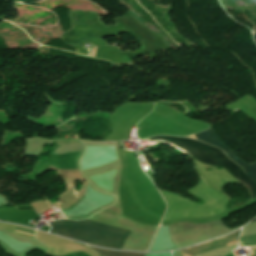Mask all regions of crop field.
<instances>
[{"label":"crop field","mask_w":256,"mask_h":256,"mask_svg":"<svg viewBox=\"0 0 256 256\" xmlns=\"http://www.w3.org/2000/svg\"><path fill=\"white\" fill-rule=\"evenodd\" d=\"M49 225L56 234L113 249H122L133 231V228L92 217L82 221L55 220Z\"/></svg>","instance_id":"obj_1"},{"label":"crop field","mask_w":256,"mask_h":256,"mask_svg":"<svg viewBox=\"0 0 256 256\" xmlns=\"http://www.w3.org/2000/svg\"><path fill=\"white\" fill-rule=\"evenodd\" d=\"M152 139H161L170 142L185 150L195 160L214 166L225 167L234 178L242 182L249 189L252 199L256 198V183L246 176L240 167L229 160L222 150L200 141L186 138L171 136H154L149 138V140Z\"/></svg>","instance_id":"obj_2"},{"label":"crop field","mask_w":256,"mask_h":256,"mask_svg":"<svg viewBox=\"0 0 256 256\" xmlns=\"http://www.w3.org/2000/svg\"><path fill=\"white\" fill-rule=\"evenodd\" d=\"M194 136L198 140H201V141L207 142L211 145H215L219 148H222L230 159H232L233 161L238 163L239 166H241L242 169L248 174V176L256 181V163L248 165V164H245L244 162H242L241 160H239L238 158H236L234 153L231 150L227 149L223 145V143L216 137L212 128H210L204 132L194 134ZM194 136L192 135V136H190V138H194Z\"/></svg>","instance_id":"obj_3"},{"label":"crop field","mask_w":256,"mask_h":256,"mask_svg":"<svg viewBox=\"0 0 256 256\" xmlns=\"http://www.w3.org/2000/svg\"><path fill=\"white\" fill-rule=\"evenodd\" d=\"M240 230L226 236L220 239H216L210 242H206L197 246H193L187 249H184L182 251L189 253L191 255L203 253V252H208L220 248H225L229 246L235 245V241L238 240V235H239ZM237 245V242H236Z\"/></svg>","instance_id":"obj_4"},{"label":"crop field","mask_w":256,"mask_h":256,"mask_svg":"<svg viewBox=\"0 0 256 256\" xmlns=\"http://www.w3.org/2000/svg\"><path fill=\"white\" fill-rule=\"evenodd\" d=\"M91 248L94 249L97 253H99V254H101L103 256H145L146 255V254H140V253H129V252H122V251H111V250L99 249V248H95V247H91Z\"/></svg>","instance_id":"obj_5"},{"label":"crop field","mask_w":256,"mask_h":256,"mask_svg":"<svg viewBox=\"0 0 256 256\" xmlns=\"http://www.w3.org/2000/svg\"><path fill=\"white\" fill-rule=\"evenodd\" d=\"M181 256H190V255H188V254H186L184 252H181Z\"/></svg>","instance_id":"obj_6"},{"label":"crop field","mask_w":256,"mask_h":256,"mask_svg":"<svg viewBox=\"0 0 256 256\" xmlns=\"http://www.w3.org/2000/svg\"><path fill=\"white\" fill-rule=\"evenodd\" d=\"M19 232V231H18ZM24 233V232H23ZM27 234H30V233H27ZM32 235H34V234H32Z\"/></svg>","instance_id":"obj_7"},{"label":"crop field","mask_w":256,"mask_h":256,"mask_svg":"<svg viewBox=\"0 0 256 256\" xmlns=\"http://www.w3.org/2000/svg\"><path fill=\"white\" fill-rule=\"evenodd\" d=\"M239 246H241V245L239 244Z\"/></svg>","instance_id":"obj_8"}]
</instances>
